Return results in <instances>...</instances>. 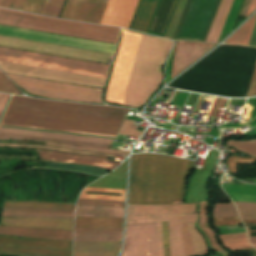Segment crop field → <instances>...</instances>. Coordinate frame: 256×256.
I'll return each mask as SVG.
<instances>
[{
	"label": "crop field",
	"instance_id": "8a807250",
	"mask_svg": "<svg viewBox=\"0 0 256 256\" xmlns=\"http://www.w3.org/2000/svg\"><path fill=\"white\" fill-rule=\"evenodd\" d=\"M142 36L124 30L107 87L106 102L125 104L126 90ZM154 37L143 36L127 90L128 106L143 105L162 80L161 69L173 43L164 38Z\"/></svg>",
	"mask_w": 256,
	"mask_h": 256
},
{
	"label": "crop field",
	"instance_id": "ac0d7876",
	"mask_svg": "<svg viewBox=\"0 0 256 256\" xmlns=\"http://www.w3.org/2000/svg\"><path fill=\"white\" fill-rule=\"evenodd\" d=\"M128 110L13 96L2 123L117 135Z\"/></svg>",
	"mask_w": 256,
	"mask_h": 256
},
{
	"label": "crop field",
	"instance_id": "34b2d1b8",
	"mask_svg": "<svg viewBox=\"0 0 256 256\" xmlns=\"http://www.w3.org/2000/svg\"><path fill=\"white\" fill-rule=\"evenodd\" d=\"M191 160L160 154L132 155L128 203L171 204L183 201Z\"/></svg>",
	"mask_w": 256,
	"mask_h": 256
},
{
	"label": "crop field",
	"instance_id": "412701ff",
	"mask_svg": "<svg viewBox=\"0 0 256 256\" xmlns=\"http://www.w3.org/2000/svg\"><path fill=\"white\" fill-rule=\"evenodd\" d=\"M196 203L177 205H128L127 224L156 222L158 256H163L161 221H168L171 256H195L186 222L196 223Z\"/></svg>",
	"mask_w": 256,
	"mask_h": 256
},
{
	"label": "crop field",
	"instance_id": "f4fd0767",
	"mask_svg": "<svg viewBox=\"0 0 256 256\" xmlns=\"http://www.w3.org/2000/svg\"><path fill=\"white\" fill-rule=\"evenodd\" d=\"M0 24L116 44L120 28L96 26L0 9Z\"/></svg>",
	"mask_w": 256,
	"mask_h": 256
},
{
	"label": "crop field",
	"instance_id": "dd49c442",
	"mask_svg": "<svg viewBox=\"0 0 256 256\" xmlns=\"http://www.w3.org/2000/svg\"><path fill=\"white\" fill-rule=\"evenodd\" d=\"M15 201L59 202L56 170L32 168L11 173Z\"/></svg>",
	"mask_w": 256,
	"mask_h": 256
},
{
	"label": "crop field",
	"instance_id": "e52e79f7",
	"mask_svg": "<svg viewBox=\"0 0 256 256\" xmlns=\"http://www.w3.org/2000/svg\"><path fill=\"white\" fill-rule=\"evenodd\" d=\"M0 60L104 78H106L108 69V65L38 54L4 47H0Z\"/></svg>",
	"mask_w": 256,
	"mask_h": 256
},
{
	"label": "crop field",
	"instance_id": "d8731c3e",
	"mask_svg": "<svg viewBox=\"0 0 256 256\" xmlns=\"http://www.w3.org/2000/svg\"><path fill=\"white\" fill-rule=\"evenodd\" d=\"M7 74V73H6ZM26 93L51 99L102 103L100 91L93 88L7 74Z\"/></svg>",
	"mask_w": 256,
	"mask_h": 256
},
{
	"label": "crop field",
	"instance_id": "5a996713",
	"mask_svg": "<svg viewBox=\"0 0 256 256\" xmlns=\"http://www.w3.org/2000/svg\"><path fill=\"white\" fill-rule=\"evenodd\" d=\"M0 46L46 53L51 55L99 62L108 63L109 55L105 53L87 51L82 49L58 46L53 44L23 40L18 38L0 36Z\"/></svg>",
	"mask_w": 256,
	"mask_h": 256
},
{
	"label": "crop field",
	"instance_id": "3316defc",
	"mask_svg": "<svg viewBox=\"0 0 256 256\" xmlns=\"http://www.w3.org/2000/svg\"><path fill=\"white\" fill-rule=\"evenodd\" d=\"M0 35L108 52L113 54L115 46L114 44L90 41L85 39L55 35L50 33L26 30L21 28L9 27L0 25Z\"/></svg>",
	"mask_w": 256,
	"mask_h": 256
},
{
	"label": "crop field",
	"instance_id": "28ad6ade",
	"mask_svg": "<svg viewBox=\"0 0 256 256\" xmlns=\"http://www.w3.org/2000/svg\"><path fill=\"white\" fill-rule=\"evenodd\" d=\"M0 67L3 69L4 72H8V73H14V74H20V75H26V76H32V77H38V78H44V79H50V80H57V81H63V82H69V83H75V84H81V85H87V86H93V87H99V88L103 87L104 82L106 80L104 78H98V77L14 64V63L2 62V61H0Z\"/></svg>",
	"mask_w": 256,
	"mask_h": 256
},
{
	"label": "crop field",
	"instance_id": "d1516ede",
	"mask_svg": "<svg viewBox=\"0 0 256 256\" xmlns=\"http://www.w3.org/2000/svg\"><path fill=\"white\" fill-rule=\"evenodd\" d=\"M121 256H157L155 223L127 225Z\"/></svg>",
	"mask_w": 256,
	"mask_h": 256
},
{
	"label": "crop field",
	"instance_id": "22f410ed",
	"mask_svg": "<svg viewBox=\"0 0 256 256\" xmlns=\"http://www.w3.org/2000/svg\"><path fill=\"white\" fill-rule=\"evenodd\" d=\"M82 0H68L61 18L75 19ZM108 0H83L75 20L99 24Z\"/></svg>",
	"mask_w": 256,
	"mask_h": 256
},
{
	"label": "crop field",
	"instance_id": "cbeb9de0",
	"mask_svg": "<svg viewBox=\"0 0 256 256\" xmlns=\"http://www.w3.org/2000/svg\"><path fill=\"white\" fill-rule=\"evenodd\" d=\"M62 203L75 204L81 189L96 176L57 170Z\"/></svg>",
	"mask_w": 256,
	"mask_h": 256
},
{
	"label": "crop field",
	"instance_id": "5142ce71",
	"mask_svg": "<svg viewBox=\"0 0 256 256\" xmlns=\"http://www.w3.org/2000/svg\"><path fill=\"white\" fill-rule=\"evenodd\" d=\"M139 0H109L100 24L128 28Z\"/></svg>",
	"mask_w": 256,
	"mask_h": 256
},
{
	"label": "crop field",
	"instance_id": "d9b57169",
	"mask_svg": "<svg viewBox=\"0 0 256 256\" xmlns=\"http://www.w3.org/2000/svg\"><path fill=\"white\" fill-rule=\"evenodd\" d=\"M36 151L39 154V157L43 159L67 163L94 165L97 167L106 168L110 170H113L120 164V162L108 161L107 157L71 154L39 149H36Z\"/></svg>",
	"mask_w": 256,
	"mask_h": 256
},
{
	"label": "crop field",
	"instance_id": "733c2abd",
	"mask_svg": "<svg viewBox=\"0 0 256 256\" xmlns=\"http://www.w3.org/2000/svg\"><path fill=\"white\" fill-rule=\"evenodd\" d=\"M213 46L215 45L203 43L176 44L171 77H175L178 73L209 51Z\"/></svg>",
	"mask_w": 256,
	"mask_h": 256
},
{
	"label": "crop field",
	"instance_id": "4a817a6b",
	"mask_svg": "<svg viewBox=\"0 0 256 256\" xmlns=\"http://www.w3.org/2000/svg\"><path fill=\"white\" fill-rule=\"evenodd\" d=\"M0 224L73 230V220L70 219L1 217Z\"/></svg>",
	"mask_w": 256,
	"mask_h": 256
},
{
	"label": "crop field",
	"instance_id": "bc2a9ffb",
	"mask_svg": "<svg viewBox=\"0 0 256 256\" xmlns=\"http://www.w3.org/2000/svg\"><path fill=\"white\" fill-rule=\"evenodd\" d=\"M121 242H74L73 256H116Z\"/></svg>",
	"mask_w": 256,
	"mask_h": 256
},
{
	"label": "crop field",
	"instance_id": "214f88e0",
	"mask_svg": "<svg viewBox=\"0 0 256 256\" xmlns=\"http://www.w3.org/2000/svg\"><path fill=\"white\" fill-rule=\"evenodd\" d=\"M0 234L72 240L73 231L0 226Z\"/></svg>",
	"mask_w": 256,
	"mask_h": 256
},
{
	"label": "crop field",
	"instance_id": "92a150f3",
	"mask_svg": "<svg viewBox=\"0 0 256 256\" xmlns=\"http://www.w3.org/2000/svg\"><path fill=\"white\" fill-rule=\"evenodd\" d=\"M0 244L16 247H44L71 250L72 241L34 240L0 236Z\"/></svg>",
	"mask_w": 256,
	"mask_h": 256
},
{
	"label": "crop field",
	"instance_id": "dafd665d",
	"mask_svg": "<svg viewBox=\"0 0 256 256\" xmlns=\"http://www.w3.org/2000/svg\"><path fill=\"white\" fill-rule=\"evenodd\" d=\"M0 132L13 133V134H24V135H34V136H44V137L65 138V139H75V140H84V141H93V142H100V143H106V144H111L113 142V140H110V139H101V138H92V137H84V136H75V135L30 131V130L4 128V127H0Z\"/></svg>",
	"mask_w": 256,
	"mask_h": 256
},
{
	"label": "crop field",
	"instance_id": "00972430",
	"mask_svg": "<svg viewBox=\"0 0 256 256\" xmlns=\"http://www.w3.org/2000/svg\"><path fill=\"white\" fill-rule=\"evenodd\" d=\"M233 201L256 202V185L222 184Z\"/></svg>",
	"mask_w": 256,
	"mask_h": 256
},
{
	"label": "crop field",
	"instance_id": "a9b5d70f",
	"mask_svg": "<svg viewBox=\"0 0 256 256\" xmlns=\"http://www.w3.org/2000/svg\"><path fill=\"white\" fill-rule=\"evenodd\" d=\"M233 0H221L205 42L216 43Z\"/></svg>",
	"mask_w": 256,
	"mask_h": 256
},
{
	"label": "crop field",
	"instance_id": "4177f3b9",
	"mask_svg": "<svg viewBox=\"0 0 256 256\" xmlns=\"http://www.w3.org/2000/svg\"><path fill=\"white\" fill-rule=\"evenodd\" d=\"M157 0H141L133 24L132 30L145 32Z\"/></svg>",
	"mask_w": 256,
	"mask_h": 256
},
{
	"label": "crop field",
	"instance_id": "730fd06b",
	"mask_svg": "<svg viewBox=\"0 0 256 256\" xmlns=\"http://www.w3.org/2000/svg\"><path fill=\"white\" fill-rule=\"evenodd\" d=\"M199 204H200V213H199V221H198L199 227L208 238L212 249L222 253L224 256H229L228 252L219 246L215 238V233L209 228L208 219H207V208H208L207 200L202 201Z\"/></svg>",
	"mask_w": 256,
	"mask_h": 256
},
{
	"label": "crop field",
	"instance_id": "eef30255",
	"mask_svg": "<svg viewBox=\"0 0 256 256\" xmlns=\"http://www.w3.org/2000/svg\"><path fill=\"white\" fill-rule=\"evenodd\" d=\"M123 218L75 217V227H122Z\"/></svg>",
	"mask_w": 256,
	"mask_h": 256
},
{
	"label": "crop field",
	"instance_id": "ae1a2a85",
	"mask_svg": "<svg viewBox=\"0 0 256 256\" xmlns=\"http://www.w3.org/2000/svg\"><path fill=\"white\" fill-rule=\"evenodd\" d=\"M124 209L112 207L77 206L75 216L123 217Z\"/></svg>",
	"mask_w": 256,
	"mask_h": 256
},
{
	"label": "crop field",
	"instance_id": "d3111659",
	"mask_svg": "<svg viewBox=\"0 0 256 256\" xmlns=\"http://www.w3.org/2000/svg\"><path fill=\"white\" fill-rule=\"evenodd\" d=\"M122 231L75 232V241H120Z\"/></svg>",
	"mask_w": 256,
	"mask_h": 256
},
{
	"label": "crop field",
	"instance_id": "750c4746",
	"mask_svg": "<svg viewBox=\"0 0 256 256\" xmlns=\"http://www.w3.org/2000/svg\"><path fill=\"white\" fill-rule=\"evenodd\" d=\"M4 139H37V140H46L58 143H67V144H76V145H84L90 147L97 148H108L109 145L106 144H98V143H90V142H82V141H74V140H65V139H55V138H44V137H34V136H24V135H13V134H3L0 133V140Z\"/></svg>",
	"mask_w": 256,
	"mask_h": 256
},
{
	"label": "crop field",
	"instance_id": "bd1437ed",
	"mask_svg": "<svg viewBox=\"0 0 256 256\" xmlns=\"http://www.w3.org/2000/svg\"><path fill=\"white\" fill-rule=\"evenodd\" d=\"M256 14L225 43L247 45L255 22Z\"/></svg>",
	"mask_w": 256,
	"mask_h": 256
},
{
	"label": "crop field",
	"instance_id": "1d83c4d3",
	"mask_svg": "<svg viewBox=\"0 0 256 256\" xmlns=\"http://www.w3.org/2000/svg\"><path fill=\"white\" fill-rule=\"evenodd\" d=\"M219 238L223 245L228 247L230 250L251 247L247 242L245 233L224 235Z\"/></svg>",
	"mask_w": 256,
	"mask_h": 256
},
{
	"label": "crop field",
	"instance_id": "120bbe31",
	"mask_svg": "<svg viewBox=\"0 0 256 256\" xmlns=\"http://www.w3.org/2000/svg\"><path fill=\"white\" fill-rule=\"evenodd\" d=\"M0 251L34 253V254L51 255V256H71V251H61V250H43V249L0 247Z\"/></svg>",
	"mask_w": 256,
	"mask_h": 256
},
{
	"label": "crop field",
	"instance_id": "d32e631a",
	"mask_svg": "<svg viewBox=\"0 0 256 256\" xmlns=\"http://www.w3.org/2000/svg\"><path fill=\"white\" fill-rule=\"evenodd\" d=\"M241 3H242V0H234L233 1L218 42L230 33Z\"/></svg>",
	"mask_w": 256,
	"mask_h": 256
},
{
	"label": "crop field",
	"instance_id": "5866460e",
	"mask_svg": "<svg viewBox=\"0 0 256 256\" xmlns=\"http://www.w3.org/2000/svg\"><path fill=\"white\" fill-rule=\"evenodd\" d=\"M4 207H44V208H68L74 209L75 205L39 203V202H4Z\"/></svg>",
	"mask_w": 256,
	"mask_h": 256
},
{
	"label": "crop field",
	"instance_id": "028f5c9d",
	"mask_svg": "<svg viewBox=\"0 0 256 256\" xmlns=\"http://www.w3.org/2000/svg\"><path fill=\"white\" fill-rule=\"evenodd\" d=\"M86 191H99V192H109V193H122V197L84 194ZM124 196H125V190L98 189V188H89V187H86V188L82 191L80 198L124 201Z\"/></svg>",
	"mask_w": 256,
	"mask_h": 256
},
{
	"label": "crop field",
	"instance_id": "e1f06a70",
	"mask_svg": "<svg viewBox=\"0 0 256 256\" xmlns=\"http://www.w3.org/2000/svg\"><path fill=\"white\" fill-rule=\"evenodd\" d=\"M3 200L14 201L10 173L0 177V210Z\"/></svg>",
	"mask_w": 256,
	"mask_h": 256
},
{
	"label": "crop field",
	"instance_id": "0bd39190",
	"mask_svg": "<svg viewBox=\"0 0 256 256\" xmlns=\"http://www.w3.org/2000/svg\"><path fill=\"white\" fill-rule=\"evenodd\" d=\"M39 161L44 162L47 165L53 166V167L81 170V171L89 172V173L96 174V175H105L108 173V171H110V170H105V169L95 168V167H88V166H80V165H72V164H55V163L42 161V160H39Z\"/></svg>",
	"mask_w": 256,
	"mask_h": 256
},
{
	"label": "crop field",
	"instance_id": "b80d0937",
	"mask_svg": "<svg viewBox=\"0 0 256 256\" xmlns=\"http://www.w3.org/2000/svg\"><path fill=\"white\" fill-rule=\"evenodd\" d=\"M47 2L48 0H44V3L42 5V8L39 14L41 15L43 14V11L46 7ZM64 2L65 1H61V0H49L43 15L53 16L58 18Z\"/></svg>",
	"mask_w": 256,
	"mask_h": 256
},
{
	"label": "crop field",
	"instance_id": "c035e120",
	"mask_svg": "<svg viewBox=\"0 0 256 256\" xmlns=\"http://www.w3.org/2000/svg\"><path fill=\"white\" fill-rule=\"evenodd\" d=\"M186 0H178V3L176 5V8L174 10L173 16L171 18V21L169 23V26L167 28L165 38L172 39L174 31L176 29L177 23L179 21V18L181 16L182 10L184 8Z\"/></svg>",
	"mask_w": 256,
	"mask_h": 256
},
{
	"label": "crop field",
	"instance_id": "c21b1889",
	"mask_svg": "<svg viewBox=\"0 0 256 256\" xmlns=\"http://www.w3.org/2000/svg\"><path fill=\"white\" fill-rule=\"evenodd\" d=\"M238 216L233 203L216 204L214 218Z\"/></svg>",
	"mask_w": 256,
	"mask_h": 256
},
{
	"label": "crop field",
	"instance_id": "03da06ac",
	"mask_svg": "<svg viewBox=\"0 0 256 256\" xmlns=\"http://www.w3.org/2000/svg\"><path fill=\"white\" fill-rule=\"evenodd\" d=\"M0 146L37 147V148L55 149V150H63V151H71V152H79V153H88V154H96V155H105V156H116V157H126L127 156V155H122V154H110V153L80 151V150H71V149H63V148H55V147H47V146H37V145L0 144Z\"/></svg>",
	"mask_w": 256,
	"mask_h": 256
},
{
	"label": "crop field",
	"instance_id": "b54c1fbb",
	"mask_svg": "<svg viewBox=\"0 0 256 256\" xmlns=\"http://www.w3.org/2000/svg\"><path fill=\"white\" fill-rule=\"evenodd\" d=\"M1 216H27V217H58L73 219V215L54 214V213H17V212H3Z\"/></svg>",
	"mask_w": 256,
	"mask_h": 256
},
{
	"label": "crop field",
	"instance_id": "5d738f31",
	"mask_svg": "<svg viewBox=\"0 0 256 256\" xmlns=\"http://www.w3.org/2000/svg\"><path fill=\"white\" fill-rule=\"evenodd\" d=\"M228 145L235 147L247 154L256 156V141H248V142L229 141Z\"/></svg>",
	"mask_w": 256,
	"mask_h": 256
},
{
	"label": "crop field",
	"instance_id": "d23c7cc5",
	"mask_svg": "<svg viewBox=\"0 0 256 256\" xmlns=\"http://www.w3.org/2000/svg\"><path fill=\"white\" fill-rule=\"evenodd\" d=\"M3 211H18V212H54L73 214L74 210L67 209H44V208H4Z\"/></svg>",
	"mask_w": 256,
	"mask_h": 256
},
{
	"label": "crop field",
	"instance_id": "425ffa30",
	"mask_svg": "<svg viewBox=\"0 0 256 256\" xmlns=\"http://www.w3.org/2000/svg\"><path fill=\"white\" fill-rule=\"evenodd\" d=\"M255 161L256 159L231 156L227 160L229 172L236 174V164H253Z\"/></svg>",
	"mask_w": 256,
	"mask_h": 256
},
{
	"label": "crop field",
	"instance_id": "25e5ab78",
	"mask_svg": "<svg viewBox=\"0 0 256 256\" xmlns=\"http://www.w3.org/2000/svg\"><path fill=\"white\" fill-rule=\"evenodd\" d=\"M77 205H100V206L123 207L124 202L79 199Z\"/></svg>",
	"mask_w": 256,
	"mask_h": 256
},
{
	"label": "crop field",
	"instance_id": "73cf0c24",
	"mask_svg": "<svg viewBox=\"0 0 256 256\" xmlns=\"http://www.w3.org/2000/svg\"><path fill=\"white\" fill-rule=\"evenodd\" d=\"M133 121L126 120L123 127L121 128L119 134L128 135L138 138L141 135V132L135 130L133 127Z\"/></svg>",
	"mask_w": 256,
	"mask_h": 256
},
{
	"label": "crop field",
	"instance_id": "89e229c0",
	"mask_svg": "<svg viewBox=\"0 0 256 256\" xmlns=\"http://www.w3.org/2000/svg\"><path fill=\"white\" fill-rule=\"evenodd\" d=\"M0 91L20 94L3 73H0Z\"/></svg>",
	"mask_w": 256,
	"mask_h": 256
},
{
	"label": "crop field",
	"instance_id": "1f2cbd36",
	"mask_svg": "<svg viewBox=\"0 0 256 256\" xmlns=\"http://www.w3.org/2000/svg\"><path fill=\"white\" fill-rule=\"evenodd\" d=\"M43 0H26L22 11L39 13Z\"/></svg>",
	"mask_w": 256,
	"mask_h": 256
},
{
	"label": "crop field",
	"instance_id": "dbb93151",
	"mask_svg": "<svg viewBox=\"0 0 256 256\" xmlns=\"http://www.w3.org/2000/svg\"><path fill=\"white\" fill-rule=\"evenodd\" d=\"M256 10V0H245L239 15L248 17Z\"/></svg>",
	"mask_w": 256,
	"mask_h": 256
},
{
	"label": "crop field",
	"instance_id": "0fb4a251",
	"mask_svg": "<svg viewBox=\"0 0 256 256\" xmlns=\"http://www.w3.org/2000/svg\"><path fill=\"white\" fill-rule=\"evenodd\" d=\"M49 145L71 147V148H77V149H82V150L110 152V153H122V154H127L128 153V152H124V151H115V150H104V149H96V148L77 147V146L57 144V143H50V142H49Z\"/></svg>",
	"mask_w": 256,
	"mask_h": 256
},
{
	"label": "crop field",
	"instance_id": "1d79db26",
	"mask_svg": "<svg viewBox=\"0 0 256 256\" xmlns=\"http://www.w3.org/2000/svg\"><path fill=\"white\" fill-rule=\"evenodd\" d=\"M241 219H256V209L237 208Z\"/></svg>",
	"mask_w": 256,
	"mask_h": 256
},
{
	"label": "crop field",
	"instance_id": "9d1cf04e",
	"mask_svg": "<svg viewBox=\"0 0 256 256\" xmlns=\"http://www.w3.org/2000/svg\"><path fill=\"white\" fill-rule=\"evenodd\" d=\"M239 223H241V221L239 220L238 217L214 219L215 226L239 224Z\"/></svg>",
	"mask_w": 256,
	"mask_h": 256
},
{
	"label": "crop field",
	"instance_id": "447ae74e",
	"mask_svg": "<svg viewBox=\"0 0 256 256\" xmlns=\"http://www.w3.org/2000/svg\"><path fill=\"white\" fill-rule=\"evenodd\" d=\"M162 231H163V243H164V256H170L169 255L167 222L162 223Z\"/></svg>",
	"mask_w": 256,
	"mask_h": 256
},
{
	"label": "crop field",
	"instance_id": "0765c3eb",
	"mask_svg": "<svg viewBox=\"0 0 256 256\" xmlns=\"http://www.w3.org/2000/svg\"><path fill=\"white\" fill-rule=\"evenodd\" d=\"M188 94L189 93L177 92L171 104L183 106Z\"/></svg>",
	"mask_w": 256,
	"mask_h": 256
},
{
	"label": "crop field",
	"instance_id": "db79e9e6",
	"mask_svg": "<svg viewBox=\"0 0 256 256\" xmlns=\"http://www.w3.org/2000/svg\"><path fill=\"white\" fill-rule=\"evenodd\" d=\"M225 102L226 101H224V100L215 99L209 116L215 117L216 113H217V110L218 109H222L224 104H225Z\"/></svg>",
	"mask_w": 256,
	"mask_h": 256
},
{
	"label": "crop field",
	"instance_id": "7b73153f",
	"mask_svg": "<svg viewBox=\"0 0 256 256\" xmlns=\"http://www.w3.org/2000/svg\"><path fill=\"white\" fill-rule=\"evenodd\" d=\"M10 95L7 94H1L0 93V119L2 117L3 111L5 109V106L7 104L8 98Z\"/></svg>",
	"mask_w": 256,
	"mask_h": 256
},
{
	"label": "crop field",
	"instance_id": "78b8030e",
	"mask_svg": "<svg viewBox=\"0 0 256 256\" xmlns=\"http://www.w3.org/2000/svg\"><path fill=\"white\" fill-rule=\"evenodd\" d=\"M256 96V68L250 85V89L247 97Z\"/></svg>",
	"mask_w": 256,
	"mask_h": 256
},
{
	"label": "crop field",
	"instance_id": "0f1d7ab4",
	"mask_svg": "<svg viewBox=\"0 0 256 256\" xmlns=\"http://www.w3.org/2000/svg\"><path fill=\"white\" fill-rule=\"evenodd\" d=\"M24 2L25 0H12L9 8L21 11L23 8Z\"/></svg>",
	"mask_w": 256,
	"mask_h": 256
},
{
	"label": "crop field",
	"instance_id": "e1d0b9f6",
	"mask_svg": "<svg viewBox=\"0 0 256 256\" xmlns=\"http://www.w3.org/2000/svg\"><path fill=\"white\" fill-rule=\"evenodd\" d=\"M5 126H15V127H24V128H34V129H44V130H53V131H63V132H72V133H82V134H92V135H101V136H111V137H115L112 135H102V134H93V133H83V132H73V131H64V130H54V129H45V128H35V127H25V126H16V125H6V124H2Z\"/></svg>",
	"mask_w": 256,
	"mask_h": 256
},
{
	"label": "crop field",
	"instance_id": "ae633e8c",
	"mask_svg": "<svg viewBox=\"0 0 256 256\" xmlns=\"http://www.w3.org/2000/svg\"><path fill=\"white\" fill-rule=\"evenodd\" d=\"M106 230H122V228H75V231H106Z\"/></svg>",
	"mask_w": 256,
	"mask_h": 256
},
{
	"label": "crop field",
	"instance_id": "d14b1444",
	"mask_svg": "<svg viewBox=\"0 0 256 256\" xmlns=\"http://www.w3.org/2000/svg\"><path fill=\"white\" fill-rule=\"evenodd\" d=\"M237 207L256 208V203H239L235 202Z\"/></svg>",
	"mask_w": 256,
	"mask_h": 256
},
{
	"label": "crop field",
	"instance_id": "c39391a2",
	"mask_svg": "<svg viewBox=\"0 0 256 256\" xmlns=\"http://www.w3.org/2000/svg\"><path fill=\"white\" fill-rule=\"evenodd\" d=\"M0 253H1V254H5V255L40 256V255L22 254V253H5V252H0Z\"/></svg>",
	"mask_w": 256,
	"mask_h": 256
},
{
	"label": "crop field",
	"instance_id": "ade564c9",
	"mask_svg": "<svg viewBox=\"0 0 256 256\" xmlns=\"http://www.w3.org/2000/svg\"><path fill=\"white\" fill-rule=\"evenodd\" d=\"M10 0H0V7L7 8L9 5Z\"/></svg>",
	"mask_w": 256,
	"mask_h": 256
},
{
	"label": "crop field",
	"instance_id": "c5b07064",
	"mask_svg": "<svg viewBox=\"0 0 256 256\" xmlns=\"http://www.w3.org/2000/svg\"><path fill=\"white\" fill-rule=\"evenodd\" d=\"M244 102H245V99H241V100L231 99L229 103H232V104H244Z\"/></svg>",
	"mask_w": 256,
	"mask_h": 256
},
{
	"label": "crop field",
	"instance_id": "c3a83c6f",
	"mask_svg": "<svg viewBox=\"0 0 256 256\" xmlns=\"http://www.w3.org/2000/svg\"><path fill=\"white\" fill-rule=\"evenodd\" d=\"M241 180L247 183H256V179H241Z\"/></svg>",
	"mask_w": 256,
	"mask_h": 256
},
{
	"label": "crop field",
	"instance_id": "fb207236",
	"mask_svg": "<svg viewBox=\"0 0 256 256\" xmlns=\"http://www.w3.org/2000/svg\"><path fill=\"white\" fill-rule=\"evenodd\" d=\"M250 239V242L251 244L256 247V237H253V238H249Z\"/></svg>",
	"mask_w": 256,
	"mask_h": 256
},
{
	"label": "crop field",
	"instance_id": "7312dd0a",
	"mask_svg": "<svg viewBox=\"0 0 256 256\" xmlns=\"http://www.w3.org/2000/svg\"><path fill=\"white\" fill-rule=\"evenodd\" d=\"M256 220H252V221H244V223H255Z\"/></svg>",
	"mask_w": 256,
	"mask_h": 256
},
{
	"label": "crop field",
	"instance_id": "180be81f",
	"mask_svg": "<svg viewBox=\"0 0 256 256\" xmlns=\"http://www.w3.org/2000/svg\"><path fill=\"white\" fill-rule=\"evenodd\" d=\"M0 142H3V143H14L15 141H0Z\"/></svg>",
	"mask_w": 256,
	"mask_h": 256
},
{
	"label": "crop field",
	"instance_id": "f0312440",
	"mask_svg": "<svg viewBox=\"0 0 256 256\" xmlns=\"http://www.w3.org/2000/svg\"><path fill=\"white\" fill-rule=\"evenodd\" d=\"M246 230H247L248 236L250 237L249 230H248V228H247V227H246Z\"/></svg>",
	"mask_w": 256,
	"mask_h": 256
},
{
	"label": "crop field",
	"instance_id": "1f1604b0",
	"mask_svg": "<svg viewBox=\"0 0 256 256\" xmlns=\"http://www.w3.org/2000/svg\"><path fill=\"white\" fill-rule=\"evenodd\" d=\"M217 256H219V255H217Z\"/></svg>",
	"mask_w": 256,
	"mask_h": 256
},
{
	"label": "crop field",
	"instance_id": "819c52e7",
	"mask_svg": "<svg viewBox=\"0 0 256 256\" xmlns=\"http://www.w3.org/2000/svg\"><path fill=\"white\" fill-rule=\"evenodd\" d=\"M1 72V71H0Z\"/></svg>",
	"mask_w": 256,
	"mask_h": 256
}]
</instances>
